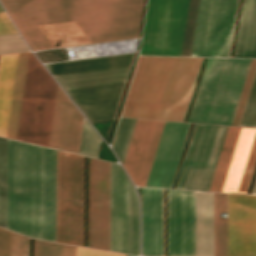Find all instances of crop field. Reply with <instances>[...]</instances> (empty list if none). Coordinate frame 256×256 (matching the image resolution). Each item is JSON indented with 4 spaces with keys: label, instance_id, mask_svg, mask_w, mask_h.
Listing matches in <instances>:
<instances>
[{
    "label": "crop field",
    "instance_id": "16",
    "mask_svg": "<svg viewBox=\"0 0 256 256\" xmlns=\"http://www.w3.org/2000/svg\"><path fill=\"white\" fill-rule=\"evenodd\" d=\"M84 117L57 88L49 147L78 154Z\"/></svg>",
    "mask_w": 256,
    "mask_h": 256
},
{
    "label": "crop field",
    "instance_id": "12",
    "mask_svg": "<svg viewBox=\"0 0 256 256\" xmlns=\"http://www.w3.org/2000/svg\"><path fill=\"white\" fill-rule=\"evenodd\" d=\"M168 256H194V192L167 190Z\"/></svg>",
    "mask_w": 256,
    "mask_h": 256
},
{
    "label": "crop field",
    "instance_id": "36",
    "mask_svg": "<svg viewBox=\"0 0 256 256\" xmlns=\"http://www.w3.org/2000/svg\"><path fill=\"white\" fill-rule=\"evenodd\" d=\"M34 256H59V244L35 240Z\"/></svg>",
    "mask_w": 256,
    "mask_h": 256
},
{
    "label": "crop field",
    "instance_id": "14",
    "mask_svg": "<svg viewBox=\"0 0 256 256\" xmlns=\"http://www.w3.org/2000/svg\"><path fill=\"white\" fill-rule=\"evenodd\" d=\"M227 128L203 126L184 189L209 190Z\"/></svg>",
    "mask_w": 256,
    "mask_h": 256
},
{
    "label": "crop field",
    "instance_id": "34",
    "mask_svg": "<svg viewBox=\"0 0 256 256\" xmlns=\"http://www.w3.org/2000/svg\"><path fill=\"white\" fill-rule=\"evenodd\" d=\"M28 50L18 34L0 36V54Z\"/></svg>",
    "mask_w": 256,
    "mask_h": 256
},
{
    "label": "crop field",
    "instance_id": "28",
    "mask_svg": "<svg viewBox=\"0 0 256 256\" xmlns=\"http://www.w3.org/2000/svg\"><path fill=\"white\" fill-rule=\"evenodd\" d=\"M135 120L136 119L121 118L118 129H117V133L112 145V149L116 152L122 164H123V160L126 154L129 140L132 134V130L135 124Z\"/></svg>",
    "mask_w": 256,
    "mask_h": 256
},
{
    "label": "crop field",
    "instance_id": "1",
    "mask_svg": "<svg viewBox=\"0 0 256 256\" xmlns=\"http://www.w3.org/2000/svg\"><path fill=\"white\" fill-rule=\"evenodd\" d=\"M33 51L50 46L37 25L75 20L88 43L138 37L144 0H0ZM74 21V22H75Z\"/></svg>",
    "mask_w": 256,
    "mask_h": 256
},
{
    "label": "crop field",
    "instance_id": "22",
    "mask_svg": "<svg viewBox=\"0 0 256 256\" xmlns=\"http://www.w3.org/2000/svg\"><path fill=\"white\" fill-rule=\"evenodd\" d=\"M135 53L101 57L79 61L48 64L46 67L53 76L79 73L107 68L129 66L133 64Z\"/></svg>",
    "mask_w": 256,
    "mask_h": 256
},
{
    "label": "crop field",
    "instance_id": "40",
    "mask_svg": "<svg viewBox=\"0 0 256 256\" xmlns=\"http://www.w3.org/2000/svg\"><path fill=\"white\" fill-rule=\"evenodd\" d=\"M60 256H76V247L60 244Z\"/></svg>",
    "mask_w": 256,
    "mask_h": 256
},
{
    "label": "crop field",
    "instance_id": "24",
    "mask_svg": "<svg viewBox=\"0 0 256 256\" xmlns=\"http://www.w3.org/2000/svg\"><path fill=\"white\" fill-rule=\"evenodd\" d=\"M132 66L55 77L64 89L127 81Z\"/></svg>",
    "mask_w": 256,
    "mask_h": 256
},
{
    "label": "crop field",
    "instance_id": "30",
    "mask_svg": "<svg viewBox=\"0 0 256 256\" xmlns=\"http://www.w3.org/2000/svg\"><path fill=\"white\" fill-rule=\"evenodd\" d=\"M99 141L100 137L85 119L79 154L97 158Z\"/></svg>",
    "mask_w": 256,
    "mask_h": 256
},
{
    "label": "crop field",
    "instance_id": "9",
    "mask_svg": "<svg viewBox=\"0 0 256 256\" xmlns=\"http://www.w3.org/2000/svg\"><path fill=\"white\" fill-rule=\"evenodd\" d=\"M238 0H199L191 56L229 57Z\"/></svg>",
    "mask_w": 256,
    "mask_h": 256
},
{
    "label": "crop field",
    "instance_id": "13",
    "mask_svg": "<svg viewBox=\"0 0 256 256\" xmlns=\"http://www.w3.org/2000/svg\"><path fill=\"white\" fill-rule=\"evenodd\" d=\"M228 256H256V196L228 195Z\"/></svg>",
    "mask_w": 256,
    "mask_h": 256
},
{
    "label": "crop field",
    "instance_id": "37",
    "mask_svg": "<svg viewBox=\"0 0 256 256\" xmlns=\"http://www.w3.org/2000/svg\"><path fill=\"white\" fill-rule=\"evenodd\" d=\"M10 232L0 228V256H9Z\"/></svg>",
    "mask_w": 256,
    "mask_h": 256
},
{
    "label": "crop field",
    "instance_id": "38",
    "mask_svg": "<svg viewBox=\"0 0 256 256\" xmlns=\"http://www.w3.org/2000/svg\"><path fill=\"white\" fill-rule=\"evenodd\" d=\"M16 33L5 12H0V35Z\"/></svg>",
    "mask_w": 256,
    "mask_h": 256
},
{
    "label": "crop field",
    "instance_id": "25",
    "mask_svg": "<svg viewBox=\"0 0 256 256\" xmlns=\"http://www.w3.org/2000/svg\"><path fill=\"white\" fill-rule=\"evenodd\" d=\"M226 213V194L214 193V256H227V219L219 215Z\"/></svg>",
    "mask_w": 256,
    "mask_h": 256
},
{
    "label": "crop field",
    "instance_id": "20",
    "mask_svg": "<svg viewBox=\"0 0 256 256\" xmlns=\"http://www.w3.org/2000/svg\"><path fill=\"white\" fill-rule=\"evenodd\" d=\"M56 151L43 147L42 239L55 241Z\"/></svg>",
    "mask_w": 256,
    "mask_h": 256
},
{
    "label": "crop field",
    "instance_id": "41",
    "mask_svg": "<svg viewBox=\"0 0 256 256\" xmlns=\"http://www.w3.org/2000/svg\"><path fill=\"white\" fill-rule=\"evenodd\" d=\"M252 194H256V183H255L254 190H253Z\"/></svg>",
    "mask_w": 256,
    "mask_h": 256
},
{
    "label": "crop field",
    "instance_id": "10",
    "mask_svg": "<svg viewBox=\"0 0 256 256\" xmlns=\"http://www.w3.org/2000/svg\"><path fill=\"white\" fill-rule=\"evenodd\" d=\"M117 165L111 163L110 250L138 255V199Z\"/></svg>",
    "mask_w": 256,
    "mask_h": 256
},
{
    "label": "crop field",
    "instance_id": "7",
    "mask_svg": "<svg viewBox=\"0 0 256 256\" xmlns=\"http://www.w3.org/2000/svg\"><path fill=\"white\" fill-rule=\"evenodd\" d=\"M57 151L56 241L83 246L84 157Z\"/></svg>",
    "mask_w": 256,
    "mask_h": 256
},
{
    "label": "crop field",
    "instance_id": "18",
    "mask_svg": "<svg viewBox=\"0 0 256 256\" xmlns=\"http://www.w3.org/2000/svg\"><path fill=\"white\" fill-rule=\"evenodd\" d=\"M256 163V129L241 128L221 192L246 193Z\"/></svg>",
    "mask_w": 256,
    "mask_h": 256
},
{
    "label": "crop field",
    "instance_id": "3",
    "mask_svg": "<svg viewBox=\"0 0 256 256\" xmlns=\"http://www.w3.org/2000/svg\"><path fill=\"white\" fill-rule=\"evenodd\" d=\"M165 122L137 119L124 168L145 186ZM190 124L166 122L146 186L170 188Z\"/></svg>",
    "mask_w": 256,
    "mask_h": 256
},
{
    "label": "crop field",
    "instance_id": "19",
    "mask_svg": "<svg viewBox=\"0 0 256 256\" xmlns=\"http://www.w3.org/2000/svg\"><path fill=\"white\" fill-rule=\"evenodd\" d=\"M143 255L162 256V189L142 188Z\"/></svg>",
    "mask_w": 256,
    "mask_h": 256
},
{
    "label": "crop field",
    "instance_id": "11",
    "mask_svg": "<svg viewBox=\"0 0 256 256\" xmlns=\"http://www.w3.org/2000/svg\"><path fill=\"white\" fill-rule=\"evenodd\" d=\"M28 52L0 56V136L6 134L11 91L12 99L6 137L16 139Z\"/></svg>",
    "mask_w": 256,
    "mask_h": 256
},
{
    "label": "crop field",
    "instance_id": "6",
    "mask_svg": "<svg viewBox=\"0 0 256 256\" xmlns=\"http://www.w3.org/2000/svg\"><path fill=\"white\" fill-rule=\"evenodd\" d=\"M57 84L29 52L17 139L49 144Z\"/></svg>",
    "mask_w": 256,
    "mask_h": 256
},
{
    "label": "crop field",
    "instance_id": "29",
    "mask_svg": "<svg viewBox=\"0 0 256 256\" xmlns=\"http://www.w3.org/2000/svg\"><path fill=\"white\" fill-rule=\"evenodd\" d=\"M203 125L195 124L175 188L183 189Z\"/></svg>",
    "mask_w": 256,
    "mask_h": 256
},
{
    "label": "crop field",
    "instance_id": "23",
    "mask_svg": "<svg viewBox=\"0 0 256 256\" xmlns=\"http://www.w3.org/2000/svg\"><path fill=\"white\" fill-rule=\"evenodd\" d=\"M234 57L256 58V0H243Z\"/></svg>",
    "mask_w": 256,
    "mask_h": 256
},
{
    "label": "crop field",
    "instance_id": "27",
    "mask_svg": "<svg viewBox=\"0 0 256 256\" xmlns=\"http://www.w3.org/2000/svg\"><path fill=\"white\" fill-rule=\"evenodd\" d=\"M7 139L0 137V226L6 228Z\"/></svg>",
    "mask_w": 256,
    "mask_h": 256
},
{
    "label": "crop field",
    "instance_id": "5",
    "mask_svg": "<svg viewBox=\"0 0 256 256\" xmlns=\"http://www.w3.org/2000/svg\"><path fill=\"white\" fill-rule=\"evenodd\" d=\"M250 61L208 58L188 122L231 125Z\"/></svg>",
    "mask_w": 256,
    "mask_h": 256
},
{
    "label": "crop field",
    "instance_id": "17",
    "mask_svg": "<svg viewBox=\"0 0 256 256\" xmlns=\"http://www.w3.org/2000/svg\"><path fill=\"white\" fill-rule=\"evenodd\" d=\"M125 83H116L76 89L67 93L91 122L115 118Z\"/></svg>",
    "mask_w": 256,
    "mask_h": 256
},
{
    "label": "crop field",
    "instance_id": "39",
    "mask_svg": "<svg viewBox=\"0 0 256 256\" xmlns=\"http://www.w3.org/2000/svg\"><path fill=\"white\" fill-rule=\"evenodd\" d=\"M77 256H125V255L77 247Z\"/></svg>",
    "mask_w": 256,
    "mask_h": 256
},
{
    "label": "crop field",
    "instance_id": "42",
    "mask_svg": "<svg viewBox=\"0 0 256 256\" xmlns=\"http://www.w3.org/2000/svg\"><path fill=\"white\" fill-rule=\"evenodd\" d=\"M0 11H3V9H2V7H1V5H0Z\"/></svg>",
    "mask_w": 256,
    "mask_h": 256
},
{
    "label": "crop field",
    "instance_id": "33",
    "mask_svg": "<svg viewBox=\"0 0 256 256\" xmlns=\"http://www.w3.org/2000/svg\"><path fill=\"white\" fill-rule=\"evenodd\" d=\"M255 71H256V60H252L232 125H235V126L239 125Z\"/></svg>",
    "mask_w": 256,
    "mask_h": 256
},
{
    "label": "crop field",
    "instance_id": "8",
    "mask_svg": "<svg viewBox=\"0 0 256 256\" xmlns=\"http://www.w3.org/2000/svg\"><path fill=\"white\" fill-rule=\"evenodd\" d=\"M188 0H148L141 55L180 56Z\"/></svg>",
    "mask_w": 256,
    "mask_h": 256
},
{
    "label": "crop field",
    "instance_id": "32",
    "mask_svg": "<svg viewBox=\"0 0 256 256\" xmlns=\"http://www.w3.org/2000/svg\"><path fill=\"white\" fill-rule=\"evenodd\" d=\"M239 126L256 127V74Z\"/></svg>",
    "mask_w": 256,
    "mask_h": 256
},
{
    "label": "crop field",
    "instance_id": "21",
    "mask_svg": "<svg viewBox=\"0 0 256 256\" xmlns=\"http://www.w3.org/2000/svg\"><path fill=\"white\" fill-rule=\"evenodd\" d=\"M195 256H213V193L195 192Z\"/></svg>",
    "mask_w": 256,
    "mask_h": 256
},
{
    "label": "crop field",
    "instance_id": "31",
    "mask_svg": "<svg viewBox=\"0 0 256 256\" xmlns=\"http://www.w3.org/2000/svg\"><path fill=\"white\" fill-rule=\"evenodd\" d=\"M197 7H198V0H189V7H188V14H187L181 56H190V53H191Z\"/></svg>",
    "mask_w": 256,
    "mask_h": 256
},
{
    "label": "crop field",
    "instance_id": "4",
    "mask_svg": "<svg viewBox=\"0 0 256 256\" xmlns=\"http://www.w3.org/2000/svg\"><path fill=\"white\" fill-rule=\"evenodd\" d=\"M42 147L8 139L7 228L41 239Z\"/></svg>",
    "mask_w": 256,
    "mask_h": 256
},
{
    "label": "crop field",
    "instance_id": "15",
    "mask_svg": "<svg viewBox=\"0 0 256 256\" xmlns=\"http://www.w3.org/2000/svg\"><path fill=\"white\" fill-rule=\"evenodd\" d=\"M110 163L92 159L91 247L109 250Z\"/></svg>",
    "mask_w": 256,
    "mask_h": 256
},
{
    "label": "crop field",
    "instance_id": "43",
    "mask_svg": "<svg viewBox=\"0 0 256 256\" xmlns=\"http://www.w3.org/2000/svg\"><path fill=\"white\" fill-rule=\"evenodd\" d=\"M128 256H130V255H128Z\"/></svg>",
    "mask_w": 256,
    "mask_h": 256
},
{
    "label": "crop field",
    "instance_id": "35",
    "mask_svg": "<svg viewBox=\"0 0 256 256\" xmlns=\"http://www.w3.org/2000/svg\"><path fill=\"white\" fill-rule=\"evenodd\" d=\"M29 238L11 232L10 256H28Z\"/></svg>",
    "mask_w": 256,
    "mask_h": 256
},
{
    "label": "crop field",
    "instance_id": "26",
    "mask_svg": "<svg viewBox=\"0 0 256 256\" xmlns=\"http://www.w3.org/2000/svg\"><path fill=\"white\" fill-rule=\"evenodd\" d=\"M240 128L229 127L209 191L220 192Z\"/></svg>",
    "mask_w": 256,
    "mask_h": 256
},
{
    "label": "crop field",
    "instance_id": "2",
    "mask_svg": "<svg viewBox=\"0 0 256 256\" xmlns=\"http://www.w3.org/2000/svg\"><path fill=\"white\" fill-rule=\"evenodd\" d=\"M202 59L139 57L121 115L183 121Z\"/></svg>",
    "mask_w": 256,
    "mask_h": 256
}]
</instances>
